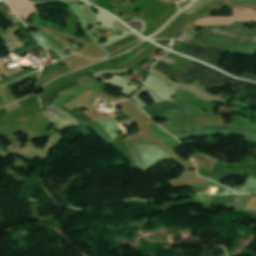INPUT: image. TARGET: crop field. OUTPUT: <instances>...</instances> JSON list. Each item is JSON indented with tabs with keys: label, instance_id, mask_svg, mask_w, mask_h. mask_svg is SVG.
I'll return each instance as SVG.
<instances>
[{
	"label": "crop field",
	"instance_id": "obj_1",
	"mask_svg": "<svg viewBox=\"0 0 256 256\" xmlns=\"http://www.w3.org/2000/svg\"><path fill=\"white\" fill-rule=\"evenodd\" d=\"M151 118L163 117L167 121L175 120L184 117L193 116H208L213 115L211 113H204L203 110L193 109L178 105L169 101L153 104L143 108ZM235 120L231 125L245 126L256 129V124L250 122V118L234 116ZM238 127V126H201L193 129H181L170 134L176 136L178 139L188 138L189 136H202L213 134H240L256 138V130Z\"/></svg>",
	"mask_w": 256,
	"mask_h": 256
},
{
	"label": "crop field",
	"instance_id": "obj_2",
	"mask_svg": "<svg viewBox=\"0 0 256 256\" xmlns=\"http://www.w3.org/2000/svg\"><path fill=\"white\" fill-rule=\"evenodd\" d=\"M161 61V60H160ZM157 62L154 70L177 80L186 83H195L203 87H210L228 83H240L244 85L245 90L241 96L248 99V102L256 104V84L238 81L217 70L211 69L198 62L193 64H183L175 74L173 68L165 63Z\"/></svg>",
	"mask_w": 256,
	"mask_h": 256
},
{
	"label": "crop field",
	"instance_id": "obj_3",
	"mask_svg": "<svg viewBox=\"0 0 256 256\" xmlns=\"http://www.w3.org/2000/svg\"><path fill=\"white\" fill-rule=\"evenodd\" d=\"M188 42L224 48L248 55L256 54V40L222 33L215 29L206 32L198 39H192Z\"/></svg>",
	"mask_w": 256,
	"mask_h": 256
},
{
	"label": "crop field",
	"instance_id": "obj_4",
	"mask_svg": "<svg viewBox=\"0 0 256 256\" xmlns=\"http://www.w3.org/2000/svg\"><path fill=\"white\" fill-rule=\"evenodd\" d=\"M139 168L150 170L158 162L171 159L160 146L127 142Z\"/></svg>",
	"mask_w": 256,
	"mask_h": 256
},
{
	"label": "crop field",
	"instance_id": "obj_5",
	"mask_svg": "<svg viewBox=\"0 0 256 256\" xmlns=\"http://www.w3.org/2000/svg\"><path fill=\"white\" fill-rule=\"evenodd\" d=\"M224 51L223 49L185 43L183 53L217 67Z\"/></svg>",
	"mask_w": 256,
	"mask_h": 256
},
{
	"label": "crop field",
	"instance_id": "obj_6",
	"mask_svg": "<svg viewBox=\"0 0 256 256\" xmlns=\"http://www.w3.org/2000/svg\"><path fill=\"white\" fill-rule=\"evenodd\" d=\"M175 99L177 103L193 106L201 109H207L210 112H213V108L218 106L212 102H205L198 98L195 94L188 90H178Z\"/></svg>",
	"mask_w": 256,
	"mask_h": 256
},
{
	"label": "crop field",
	"instance_id": "obj_7",
	"mask_svg": "<svg viewBox=\"0 0 256 256\" xmlns=\"http://www.w3.org/2000/svg\"><path fill=\"white\" fill-rule=\"evenodd\" d=\"M151 44L147 41V42L143 43L142 45L126 52L123 55L103 61V64L106 66V68L121 66V65L125 64L127 61L131 60L132 58H134L137 55H139L140 53H142L143 51L152 47L153 45H151Z\"/></svg>",
	"mask_w": 256,
	"mask_h": 256
},
{
	"label": "crop field",
	"instance_id": "obj_8",
	"mask_svg": "<svg viewBox=\"0 0 256 256\" xmlns=\"http://www.w3.org/2000/svg\"><path fill=\"white\" fill-rule=\"evenodd\" d=\"M231 169L232 164L221 160H219L213 172L198 167L200 176L215 180L218 183L230 173Z\"/></svg>",
	"mask_w": 256,
	"mask_h": 256
},
{
	"label": "crop field",
	"instance_id": "obj_9",
	"mask_svg": "<svg viewBox=\"0 0 256 256\" xmlns=\"http://www.w3.org/2000/svg\"><path fill=\"white\" fill-rule=\"evenodd\" d=\"M35 36L37 37L38 41L47 49L56 52L61 58L65 57L62 54V51L64 50L63 48H65L66 46L60 40L44 33L40 29L38 33L35 34ZM47 43H49L50 45H47Z\"/></svg>",
	"mask_w": 256,
	"mask_h": 256
},
{
	"label": "crop field",
	"instance_id": "obj_10",
	"mask_svg": "<svg viewBox=\"0 0 256 256\" xmlns=\"http://www.w3.org/2000/svg\"><path fill=\"white\" fill-rule=\"evenodd\" d=\"M45 113L51 118L52 122L58 126L67 122H71L74 120H77L75 117L70 115L69 113L61 110L60 108L54 106V105H49L45 109Z\"/></svg>",
	"mask_w": 256,
	"mask_h": 256
},
{
	"label": "crop field",
	"instance_id": "obj_11",
	"mask_svg": "<svg viewBox=\"0 0 256 256\" xmlns=\"http://www.w3.org/2000/svg\"><path fill=\"white\" fill-rule=\"evenodd\" d=\"M87 91L88 90L78 85L70 90L61 92L58 98L54 100L52 104L61 108L65 104L69 103L70 101L74 100L75 98L79 97Z\"/></svg>",
	"mask_w": 256,
	"mask_h": 256
},
{
	"label": "crop field",
	"instance_id": "obj_12",
	"mask_svg": "<svg viewBox=\"0 0 256 256\" xmlns=\"http://www.w3.org/2000/svg\"><path fill=\"white\" fill-rule=\"evenodd\" d=\"M240 162H242L243 164L241 165L234 164L232 172H235L240 175L245 173L251 176H256V158L250 155L245 159L241 160ZM243 169H248V170L245 171Z\"/></svg>",
	"mask_w": 256,
	"mask_h": 256
},
{
	"label": "crop field",
	"instance_id": "obj_13",
	"mask_svg": "<svg viewBox=\"0 0 256 256\" xmlns=\"http://www.w3.org/2000/svg\"><path fill=\"white\" fill-rule=\"evenodd\" d=\"M222 32L256 39V29L244 28L243 25H228L215 28Z\"/></svg>",
	"mask_w": 256,
	"mask_h": 256
},
{
	"label": "crop field",
	"instance_id": "obj_14",
	"mask_svg": "<svg viewBox=\"0 0 256 256\" xmlns=\"http://www.w3.org/2000/svg\"><path fill=\"white\" fill-rule=\"evenodd\" d=\"M152 127H153V130L149 135L165 142L173 150L181 146V143L176 138L168 135L165 131H163L157 125L154 124L152 125Z\"/></svg>",
	"mask_w": 256,
	"mask_h": 256
},
{
	"label": "crop field",
	"instance_id": "obj_15",
	"mask_svg": "<svg viewBox=\"0 0 256 256\" xmlns=\"http://www.w3.org/2000/svg\"><path fill=\"white\" fill-rule=\"evenodd\" d=\"M33 13H35L37 15V17L32 18L35 21L34 24L39 25V26H43V27H47V28H51V29H55V30H59V31L64 30L62 32L66 33V34H70V35H72V36H74L76 38L82 39L81 37L75 36L74 34L68 32L67 30L63 29L61 26H59V25H57L55 23L42 21L41 16H40V12L38 10L34 11ZM46 23L48 24L47 26H45Z\"/></svg>",
	"mask_w": 256,
	"mask_h": 256
},
{
	"label": "crop field",
	"instance_id": "obj_16",
	"mask_svg": "<svg viewBox=\"0 0 256 256\" xmlns=\"http://www.w3.org/2000/svg\"><path fill=\"white\" fill-rule=\"evenodd\" d=\"M231 189L238 193H256V178H249L245 185L233 186Z\"/></svg>",
	"mask_w": 256,
	"mask_h": 256
},
{
	"label": "crop field",
	"instance_id": "obj_17",
	"mask_svg": "<svg viewBox=\"0 0 256 256\" xmlns=\"http://www.w3.org/2000/svg\"><path fill=\"white\" fill-rule=\"evenodd\" d=\"M101 125L107 130V132L111 135L112 138L118 136V131H121L120 127L116 124V122L112 119L100 120Z\"/></svg>",
	"mask_w": 256,
	"mask_h": 256
},
{
	"label": "crop field",
	"instance_id": "obj_18",
	"mask_svg": "<svg viewBox=\"0 0 256 256\" xmlns=\"http://www.w3.org/2000/svg\"><path fill=\"white\" fill-rule=\"evenodd\" d=\"M86 125L96 130L101 137L108 135V133L105 131V129L100 125L98 121ZM103 139H105L108 143L112 141V138L109 135L103 137Z\"/></svg>",
	"mask_w": 256,
	"mask_h": 256
},
{
	"label": "crop field",
	"instance_id": "obj_19",
	"mask_svg": "<svg viewBox=\"0 0 256 256\" xmlns=\"http://www.w3.org/2000/svg\"><path fill=\"white\" fill-rule=\"evenodd\" d=\"M84 85H86L88 87H91L93 89H96V90L103 91V92H105L106 86H107L105 84H102V83L98 82L97 80H95L93 78L84 81Z\"/></svg>",
	"mask_w": 256,
	"mask_h": 256
},
{
	"label": "crop field",
	"instance_id": "obj_20",
	"mask_svg": "<svg viewBox=\"0 0 256 256\" xmlns=\"http://www.w3.org/2000/svg\"><path fill=\"white\" fill-rule=\"evenodd\" d=\"M150 0H137V2L133 6H128V5H115L116 7L119 8H127V9H144V7L148 4Z\"/></svg>",
	"mask_w": 256,
	"mask_h": 256
},
{
	"label": "crop field",
	"instance_id": "obj_21",
	"mask_svg": "<svg viewBox=\"0 0 256 256\" xmlns=\"http://www.w3.org/2000/svg\"><path fill=\"white\" fill-rule=\"evenodd\" d=\"M97 5L105 8V9L108 7L109 11L114 13L112 0H97Z\"/></svg>",
	"mask_w": 256,
	"mask_h": 256
},
{
	"label": "crop field",
	"instance_id": "obj_22",
	"mask_svg": "<svg viewBox=\"0 0 256 256\" xmlns=\"http://www.w3.org/2000/svg\"><path fill=\"white\" fill-rule=\"evenodd\" d=\"M37 99H39V98L33 94V95H31V96H29V97H27V98H25V99H23V100H21L19 102L21 103L22 106H24V105H26V104H28L30 102H33V101H35Z\"/></svg>",
	"mask_w": 256,
	"mask_h": 256
},
{
	"label": "crop field",
	"instance_id": "obj_23",
	"mask_svg": "<svg viewBox=\"0 0 256 256\" xmlns=\"http://www.w3.org/2000/svg\"><path fill=\"white\" fill-rule=\"evenodd\" d=\"M78 124H82V123L79 120H77V121H74V122H71V123H68V124L58 126L57 128H58L59 131H61V130H64L66 128L78 125Z\"/></svg>",
	"mask_w": 256,
	"mask_h": 256
},
{
	"label": "crop field",
	"instance_id": "obj_24",
	"mask_svg": "<svg viewBox=\"0 0 256 256\" xmlns=\"http://www.w3.org/2000/svg\"><path fill=\"white\" fill-rule=\"evenodd\" d=\"M234 3H241V4H254L256 5V1L254 0H231Z\"/></svg>",
	"mask_w": 256,
	"mask_h": 256
},
{
	"label": "crop field",
	"instance_id": "obj_25",
	"mask_svg": "<svg viewBox=\"0 0 256 256\" xmlns=\"http://www.w3.org/2000/svg\"><path fill=\"white\" fill-rule=\"evenodd\" d=\"M242 78H243V79H248V80L256 81V76L250 75V74H246V73H244V75L242 76Z\"/></svg>",
	"mask_w": 256,
	"mask_h": 256
}]
</instances>
